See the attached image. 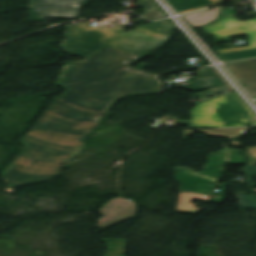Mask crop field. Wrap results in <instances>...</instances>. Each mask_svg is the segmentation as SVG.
I'll list each match as a JSON object with an SVG mask.
<instances>
[{"instance_id":"obj_1","label":"crop field","mask_w":256,"mask_h":256,"mask_svg":"<svg viewBox=\"0 0 256 256\" xmlns=\"http://www.w3.org/2000/svg\"><path fill=\"white\" fill-rule=\"evenodd\" d=\"M141 58L103 47L84 61L65 64L56 85L66 92L54 98L32 130L19 139L29 160L20 169L1 174L9 186L59 174L61 163L85 149L83 140L116 99L157 93L160 85L151 73L129 67Z\"/></svg>"},{"instance_id":"obj_2","label":"crop field","mask_w":256,"mask_h":256,"mask_svg":"<svg viewBox=\"0 0 256 256\" xmlns=\"http://www.w3.org/2000/svg\"><path fill=\"white\" fill-rule=\"evenodd\" d=\"M92 24L67 26V39L61 47L68 54L84 58L103 46L145 56L169 41L174 29L168 20L137 26L127 33L125 27H116L115 22L112 28L91 27Z\"/></svg>"},{"instance_id":"obj_3","label":"crop field","mask_w":256,"mask_h":256,"mask_svg":"<svg viewBox=\"0 0 256 256\" xmlns=\"http://www.w3.org/2000/svg\"><path fill=\"white\" fill-rule=\"evenodd\" d=\"M192 127H231L256 124L254 115L236 93L194 106Z\"/></svg>"},{"instance_id":"obj_4","label":"crop field","mask_w":256,"mask_h":256,"mask_svg":"<svg viewBox=\"0 0 256 256\" xmlns=\"http://www.w3.org/2000/svg\"><path fill=\"white\" fill-rule=\"evenodd\" d=\"M227 150L209 156L204 172H195L186 167L176 168L175 180L180 183V191L210 196L212 189L221 178L226 162Z\"/></svg>"},{"instance_id":"obj_5","label":"crop field","mask_w":256,"mask_h":256,"mask_svg":"<svg viewBox=\"0 0 256 256\" xmlns=\"http://www.w3.org/2000/svg\"><path fill=\"white\" fill-rule=\"evenodd\" d=\"M202 29L207 34L213 35L215 39L248 35L249 47L219 50L216 51L217 54L256 48V18L250 21L240 22L234 17H221L217 22L202 27Z\"/></svg>"},{"instance_id":"obj_6","label":"crop field","mask_w":256,"mask_h":256,"mask_svg":"<svg viewBox=\"0 0 256 256\" xmlns=\"http://www.w3.org/2000/svg\"><path fill=\"white\" fill-rule=\"evenodd\" d=\"M88 0H30L31 21L46 22V17L76 19L79 7Z\"/></svg>"},{"instance_id":"obj_7","label":"crop field","mask_w":256,"mask_h":256,"mask_svg":"<svg viewBox=\"0 0 256 256\" xmlns=\"http://www.w3.org/2000/svg\"><path fill=\"white\" fill-rule=\"evenodd\" d=\"M135 205V202L123 197L111 199L100 208L102 216L97 220L99 224L96 227H100V231H102L110 226L135 217V212L137 211Z\"/></svg>"},{"instance_id":"obj_8","label":"crop field","mask_w":256,"mask_h":256,"mask_svg":"<svg viewBox=\"0 0 256 256\" xmlns=\"http://www.w3.org/2000/svg\"><path fill=\"white\" fill-rule=\"evenodd\" d=\"M225 67L252 97H256V59L228 63Z\"/></svg>"},{"instance_id":"obj_9","label":"crop field","mask_w":256,"mask_h":256,"mask_svg":"<svg viewBox=\"0 0 256 256\" xmlns=\"http://www.w3.org/2000/svg\"><path fill=\"white\" fill-rule=\"evenodd\" d=\"M197 75L198 77L195 78V81L190 82L191 90L193 91L211 89L224 85L209 68H204Z\"/></svg>"},{"instance_id":"obj_10","label":"crop field","mask_w":256,"mask_h":256,"mask_svg":"<svg viewBox=\"0 0 256 256\" xmlns=\"http://www.w3.org/2000/svg\"><path fill=\"white\" fill-rule=\"evenodd\" d=\"M221 7L209 10L205 9L199 12L187 14L184 17L194 27L206 25L207 23L217 20Z\"/></svg>"},{"instance_id":"obj_11","label":"crop field","mask_w":256,"mask_h":256,"mask_svg":"<svg viewBox=\"0 0 256 256\" xmlns=\"http://www.w3.org/2000/svg\"><path fill=\"white\" fill-rule=\"evenodd\" d=\"M192 199L208 201L210 198L199 195L179 193L178 205L175 211L196 215L201 208L195 207L196 204L190 202Z\"/></svg>"},{"instance_id":"obj_12","label":"crop field","mask_w":256,"mask_h":256,"mask_svg":"<svg viewBox=\"0 0 256 256\" xmlns=\"http://www.w3.org/2000/svg\"><path fill=\"white\" fill-rule=\"evenodd\" d=\"M247 128H237V129H221V130H195L200 132L208 133V136H223L225 138L233 140L235 137H240L246 131ZM188 134H192V130H185L183 140H187Z\"/></svg>"},{"instance_id":"obj_13","label":"crop field","mask_w":256,"mask_h":256,"mask_svg":"<svg viewBox=\"0 0 256 256\" xmlns=\"http://www.w3.org/2000/svg\"><path fill=\"white\" fill-rule=\"evenodd\" d=\"M108 245L105 256H125L127 241L125 239H98Z\"/></svg>"},{"instance_id":"obj_14","label":"crop field","mask_w":256,"mask_h":256,"mask_svg":"<svg viewBox=\"0 0 256 256\" xmlns=\"http://www.w3.org/2000/svg\"><path fill=\"white\" fill-rule=\"evenodd\" d=\"M174 9L179 12L207 4H211L209 0H167Z\"/></svg>"},{"instance_id":"obj_15","label":"crop field","mask_w":256,"mask_h":256,"mask_svg":"<svg viewBox=\"0 0 256 256\" xmlns=\"http://www.w3.org/2000/svg\"><path fill=\"white\" fill-rule=\"evenodd\" d=\"M218 57H219L220 61H223V62L256 57V49L242 51V52H236V53H230V54H224V55H220Z\"/></svg>"},{"instance_id":"obj_16","label":"crop field","mask_w":256,"mask_h":256,"mask_svg":"<svg viewBox=\"0 0 256 256\" xmlns=\"http://www.w3.org/2000/svg\"><path fill=\"white\" fill-rule=\"evenodd\" d=\"M242 151H233L230 150V157L228 164L232 165H245V156H241Z\"/></svg>"},{"instance_id":"obj_17","label":"crop field","mask_w":256,"mask_h":256,"mask_svg":"<svg viewBox=\"0 0 256 256\" xmlns=\"http://www.w3.org/2000/svg\"><path fill=\"white\" fill-rule=\"evenodd\" d=\"M235 197L238 199V203L241 208L256 207V203L250 200L244 193L235 194Z\"/></svg>"},{"instance_id":"obj_18","label":"crop field","mask_w":256,"mask_h":256,"mask_svg":"<svg viewBox=\"0 0 256 256\" xmlns=\"http://www.w3.org/2000/svg\"><path fill=\"white\" fill-rule=\"evenodd\" d=\"M248 150L244 153L245 156H248V166L256 165V147H246Z\"/></svg>"},{"instance_id":"obj_19","label":"crop field","mask_w":256,"mask_h":256,"mask_svg":"<svg viewBox=\"0 0 256 256\" xmlns=\"http://www.w3.org/2000/svg\"><path fill=\"white\" fill-rule=\"evenodd\" d=\"M28 160L26 153H24L18 160H16L8 169L4 172L16 170L19 167L23 166L25 162Z\"/></svg>"},{"instance_id":"obj_20","label":"crop field","mask_w":256,"mask_h":256,"mask_svg":"<svg viewBox=\"0 0 256 256\" xmlns=\"http://www.w3.org/2000/svg\"><path fill=\"white\" fill-rule=\"evenodd\" d=\"M224 184H220V192L219 193H215L213 192V197H212V201L213 203H217L220 204L221 201L225 198V193H224Z\"/></svg>"},{"instance_id":"obj_21","label":"crop field","mask_w":256,"mask_h":256,"mask_svg":"<svg viewBox=\"0 0 256 256\" xmlns=\"http://www.w3.org/2000/svg\"><path fill=\"white\" fill-rule=\"evenodd\" d=\"M141 16L146 18L147 20H155V19H160L165 17L159 10L147 12L142 14Z\"/></svg>"},{"instance_id":"obj_22","label":"crop field","mask_w":256,"mask_h":256,"mask_svg":"<svg viewBox=\"0 0 256 256\" xmlns=\"http://www.w3.org/2000/svg\"><path fill=\"white\" fill-rule=\"evenodd\" d=\"M137 4L144 8L145 12L157 9L151 0H140Z\"/></svg>"},{"instance_id":"obj_23","label":"crop field","mask_w":256,"mask_h":256,"mask_svg":"<svg viewBox=\"0 0 256 256\" xmlns=\"http://www.w3.org/2000/svg\"><path fill=\"white\" fill-rule=\"evenodd\" d=\"M246 184H252V174H256V167L249 168L245 167Z\"/></svg>"},{"instance_id":"obj_24","label":"crop field","mask_w":256,"mask_h":256,"mask_svg":"<svg viewBox=\"0 0 256 256\" xmlns=\"http://www.w3.org/2000/svg\"><path fill=\"white\" fill-rule=\"evenodd\" d=\"M210 1L213 2L214 4H218V3L222 2V0H210ZM214 4H212V5H214ZM208 6H211V5H208ZM208 6H204V7H208ZM204 7H200V8H204ZM200 8H196V9H200ZM196 9H192V10H188V11H184V12H180V13H185V12L193 11Z\"/></svg>"},{"instance_id":"obj_25","label":"crop field","mask_w":256,"mask_h":256,"mask_svg":"<svg viewBox=\"0 0 256 256\" xmlns=\"http://www.w3.org/2000/svg\"><path fill=\"white\" fill-rule=\"evenodd\" d=\"M229 145L240 147V145H241V144H239V143H234V142H231Z\"/></svg>"},{"instance_id":"obj_26","label":"crop field","mask_w":256,"mask_h":256,"mask_svg":"<svg viewBox=\"0 0 256 256\" xmlns=\"http://www.w3.org/2000/svg\"><path fill=\"white\" fill-rule=\"evenodd\" d=\"M252 199L256 201V195H250Z\"/></svg>"},{"instance_id":"obj_27","label":"crop field","mask_w":256,"mask_h":256,"mask_svg":"<svg viewBox=\"0 0 256 256\" xmlns=\"http://www.w3.org/2000/svg\"><path fill=\"white\" fill-rule=\"evenodd\" d=\"M226 1H229V0H226Z\"/></svg>"}]
</instances>
